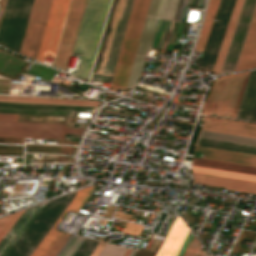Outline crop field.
I'll list each match as a JSON object with an SVG mask.
<instances>
[{"label": "crop field", "mask_w": 256, "mask_h": 256, "mask_svg": "<svg viewBox=\"0 0 256 256\" xmlns=\"http://www.w3.org/2000/svg\"><path fill=\"white\" fill-rule=\"evenodd\" d=\"M179 4L180 0H150L126 88L137 83L149 48L167 50L170 39H163L165 29L169 16L177 15Z\"/></svg>", "instance_id": "crop-field-1"}, {"label": "crop field", "mask_w": 256, "mask_h": 256, "mask_svg": "<svg viewBox=\"0 0 256 256\" xmlns=\"http://www.w3.org/2000/svg\"><path fill=\"white\" fill-rule=\"evenodd\" d=\"M109 0H88L73 53L82 54L77 76L88 78Z\"/></svg>", "instance_id": "crop-field-2"}, {"label": "crop field", "mask_w": 256, "mask_h": 256, "mask_svg": "<svg viewBox=\"0 0 256 256\" xmlns=\"http://www.w3.org/2000/svg\"><path fill=\"white\" fill-rule=\"evenodd\" d=\"M248 73L249 71L217 77L210 87L202 113H214L221 117L229 114L234 119Z\"/></svg>", "instance_id": "crop-field-3"}, {"label": "crop field", "mask_w": 256, "mask_h": 256, "mask_svg": "<svg viewBox=\"0 0 256 256\" xmlns=\"http://www.w3.org/2000/svg\"><path fill=\"white\" fill-rule=\"evenodd\" d=\"M134 0H115L95 73L113 76Z\"/></svg>", "instance_id": "crop-field-4"}, {"label": "crop field", "mask_w": 256, "mask_h": 256, "mask_svg": "<svg viewBox=\"0 0 256 256\" xmlns=\"http://www.w3.org/2000/svg\"><path fill=\"white\" fill-rule=\"evenodd\" d=\"M149 0H135L111 86L125 88Z\"/></svg>", "instance_id": "crop-field-5"}, {"label": "crop field", "mask_w": 256, "mask_h": 256, "mask_svg": "<svg viewBox=\"0 0 256 256\" xmlns=\"http://www.w3.org/2000/svg\"><path fill=\"white\" fill-rule=\"evenodd\" d=\"M33 0H7L0 24V45L19 52Z\"/></svg>", "instance_id": "crop-field-6"}, {"label": "crop field", "mask_w": 256, "mask_h": 256, "mask_svg": "<svg viewBox=\"0 0 256 256\" xmlns=\"http://www.w3.org/2000/svg\"><path fill=\"white\" fill-rule=\"evenodd\" d=\"M17 118L18 115L0 114V136L63 140L64 134H80L83 130L57 124L17 122Z\"/></svg>", "instance_id": "crop-field-7"}, {"label": "crop field", "mask_w": 256, "mask_h": 256, "mask_svg": "<svg viewBox=\"0 0 256 256\" xmlns=\"http://www.w3.org/2000/svg\"><path fill=\"white\" fill-rule=\"evenodd\" d=\"M69 195L70 194L48 201L20 239L5 256H24L63 206Z\"/></svg>", "instance_id": "crop-field-8"}, {"label": "crop field", "mask_w": 256, "mask_h": 256, "mask_svg": "<svg viewBox=\"0 0 256 256\" xmlns=\"http://www.w3.org/2000/svg\"><path fill=\"white\" fill-rule=\"evenodd\" d=\"M235 1L221 0L199 68L212 71Z\"/></svg>", "instance_id": "crop-field-9"}, {"label": "crop field", "mask_w": 256, "mask_h": 256, "mask_svg": "<svg viewBox=\"0 0 256 256\" xmlns=\"http://www.w3.org/2000/svg\"><path fill=\"white\" fill-rule=\"evenodd\" d=\"M52 0H34L20 54L36 58Z\"/></svg>", "instance_id": "crop-field-10"}, {"label": "crop field", "mask_w": 256, "mask_h": 256, "mask_svg": "<svg viewBox=\"0 0 256 256\" xmlns=\"http://www.w3.org/2000/svg\"><path fill=\"white\" fill-rule=\"evenodd\" d=\"M85 1L86 0L71 1L66 23L54 61V67H58L67 71Z\"/></svg>", "instance_id": "crop-field-11"}, {"label": "crop field", "mask_w": 256, "mask_h": 256, "mask_svg": "<svg viewBox=\"0 0 256 256\" xmlns=\"http://www.w3.org/2000/svg\"><path fill=\"white\" fill-rule=\"evenodd\" d=\"M69 2L53 0L36 60L43 62L45 55H55Z\"/></svg>", "instance_id": "crop-field-12"}, {"label": "crop field", "mask_w": 256, "mask_h": 256, "mask_svg": "<svg viewBox=\"0 0 256 256\" xmlns=\"http://www.w3.org/2000/svg\"><path fill=\"white\" fill-rule=\"evenodd\" d=\"M255 6H256V0L244 1L233 37H232L223 67H222L221 74L233 72L246 32L249 27Z\"/></svg>", "instance_id": "crop-field-13"}, {"label": "crop field", "mask_w": 256, "mask_h": 256, "mask_svg": "<svg viewBox=\"0 0 256 256\" xmlns=\"http://www.w3.org/2000/svg\"><path fill=\"white\" fill-rule=\"evenodd\" d=\"M86 106L26 104L0 102V113L72 116L73 111H85Z\"/></svg>", "instance_id": "crop-field-14"}, {"label": "crop field", "mask_w": 256, "mask_h": 256, "mask_svg": "<svg viewBox=\"0 0 256 256\" xmlns=\"http://www.w3.org/2000/svg\"><path fill=\"white\" fill-rule=\"evenodd\" d=\"M93 186L84 188L82 190H79L74 197V199L70 202V204L67 206L65 212L66 213L68 209L78 212L84 202L87 200ZM63 215L59 218V220L53 225V227L48 231L46 236L43 238L41 243L38 245V247L34 250V252L30 256H45L47 252L50 250V248L54 245V243L57 241L59 236L62 234V232H58L53 230L54 227L57 225V223L60 221V219L63 217Z\"/></svg>", "instance_id": "crop-field-15"}, {"label": "crop field", "mask_w": 256, "mask_h": 256, "mask_svg": "<svg viewBox=\"0 0 256 256\" xmlns=\"http://www.w3.org/2000/svg\"><path fill=\"white\" fill-rule=\"evenodd\" d=\"M44 204L34 206L25 210V212L21 215L15 225L10 229V231L0 242V256H4L9 251V249L14 245V243L18 240V238L21 236L27 226L37 215V213L42 209Z\"/></svg>", "instance_id": "crop-field-16"}, {"label": "crop field", "mask_w": 256, "mask_h": 256, "mask_svg": "<svg viewBox=\"0 0 256 256\" xmlns=\"http://www.w3.org/2000/svg\"><path fill=\"white\" fill-rule=\"evenodd\" d=\"M189 231L181 218H175L156 256H176Z\"/></svg>", "instance_id": "crop-field-17"}, {"label": "crop field", "mask_w": 256, "mask_h": 256, "mask_svg": "<svg viewBox=\"0 0 256 256\" xmlns=\"http://www.w3.org/2000/svg\"><path fill=\"white\" fill-rule=\"evenodd\" d=\"M235 119L256 122V70L250 73Z\"/></svg>", "instance_id": "crop-field-18"}, {"label": "crop field", "mask_w": 256, "mask_h": 256, "mask_svg": "<svg viewBox=\"0 0 256 256\" xmlns=\"http://www.w3.org/2000/svg\"><path fill=\"white\" fill-rule=\"evenodd\" d=\"M256 67V9L234 71Z\"/></svg>", "instance_id": "crop-field-19"}, {"label": "crop field", "mask_w": 256, "mask_h": 256, "mask_svg": "<svg viewBox=\"0 0 256 256\" xmlns=\"http://www.w3.org/2000/svg\"><path fill=\"white\" fill-rule=\"evenodd\" d=\"M205 129L256 136V124L226 120L205 116L203 127Z\"/></svg>", "instance_id": "crop-field-20"}, {"label": "crop field", "mask_w": 256, "mask_h": 256, "mask_svg": "<svg viewBox=\"0 0 256 256\" xmlns=\"http://www.w3.org/2000/svg\"><path fill=\"white\" fill-rule=\"evenodd\" d=\"M195 150L206 152L205 158L227 163L256 167V156L196 146Z\"/></svg>", "instance_id": "crop-field-21"}, {"label": "crop field", "mask_w": 256, "mask_h": 256, "mask_svg": "<svg viewBox=\"0 0 256 256\" xmlns=\"http://www.w3.org/2000/svg\"><path fill=\"white\" fill-rule=\"evenodd\" d=\"M194 176V183L226 187L228 190L241 191L246 193L256 194V183L239 181L233 179H226L214 176H207L192 173Z\"/></svg>", "instance_id": "crop-field-22"}, {"label": "crop field", "mask_w": 256, "mask_h": 256, "mask_svg": "<svg viewBox=\"0 0 256 256\" xmlns=\"http://www.w3.org/2000/svg\"><path fill=\"white\" fill-rule=\"evenodd\" d=\"M243 1L244 0H237L236 1L234 10L232 12V15H231V18H230V21H229V24H228V27H227L222 45H221V48L219 50V53H218V56H217V59H216V62H215V65H214V68H213L212 72L220 73V70H221V67H222V64H223V61H224V58H225V55H226L231 37H232V34H233V31H234V28H235V25H236V22H237V19H238V16H239L242 4H243Z\"/></svg>", "instance_id": "crop-field-23"}, {"label": "crop field", "mask_w": 256, "mask_h": 256, "mask_svg": "<svg viewBox=\"0 0 256 256\" xmlns=\"http://www.w3.org/2000/svg\"><path fill=\"white\" fill-rule=\"evenodd\" d=\"M0 101L6 102H26V103H46V104H66V105H86L97 106V101H79V100H60V99H41V98H22V97H3Z\"/></svg>", "instance_id": "crop-field-24"}, {"label": "crop field", "mask_w": 256, "mask_h": 256, "mask_svg": "<svg viewBox=\"0 0 256 256\" xmlns=\"http://www.w3.org/2000/svg\"><path fill=\"white\" fill-rule=\"evenodd\" d=\"M196 145L256 155V147L199 138Z\"/></svg>", "instance_id": "crop-field-25"}, {"label": "crop field", "mask_w": 256, "mask_h": 256, "mask_svg": "<svg viewBox=\"0 0 256 256\" xmlns=\"http://www.w3.org/2000/svg\"><path fill=\"white\" fill-rule=\"evenodd\" d=\"M192 165L256 175V168L193 158Z\"/></svg>", "instance_id": "crop-field-26"}, {"label": "crop field", "mask_w": 256, "mask_h": 256, "mask_svg": "<svg viewBox=\"0 0 256 256\" xmlns=\"http://www.w3.org/2000/svg\"><path fill=\"white\" fill-rule=\"evenodd\" d=\"M219 1L220 0H209L203 27H202L201 33L199 35L197 45L195 47L196 50L203 51V48H204L208 33L210 31Z\"/></svg>", "instance_id": "crop-field-27"}, {"label": "crop field", "mask_w": 256, "mask_h": 256, "mask_svg": "<svg viewBox=\"0 0 256 256\" xmlns=\"http://www.w3.org/2000/svg\"><path fill=\"white\" fill-rule=\"evenodd\" d=\"M199 137L256 146V139L204 131V130H201Z\"/></svg>", "instance_id": "crop-field-28"}, {"label": "crop field", "mask_w": 256, "mask_h": 256, "mask_svg": "<svg viewBox=\"0 0 256 256\" xmlns=\"http://www.w3.org/2000/svg\"><path fill=\"white\" fill-rule=\"evenodd\" d=\"M192 172L256 182V176L192 166Z\"/></svg>", "instance_id": "crop-field-29"}, {"label": "crop field", "mask_w": 256, "mask_h": 256, "mask_svg": "<svg viewBox=\"0 0 256 256\" xmlns=\"http://www.w3.org/2000/svg\"><path fill=\"white\" fill-rule=\"evenodd\" d=\"M183 1L184 0H181V4H180V8H179L177 17H170L169 18L168 26H167L165 37H164V38H171L168 50H173L174 39H175V37H179L181 29H182L183 23L178 22V20H179L181 8H182V5H183Z\"/></svg>", "instance_id": "crop-field-30"}, {"label": "crop field", "mask_w": 256, "mask_h": 256, "mask_svg": "<svg viewBox=\"0 0 256 256\" xmlns=\"http://www.w3.org/2000/svg\"><path fill=\"white\" fill-rule=\"evenodd\" d=\"M76 192L72 193L71 196L68 198L64 206L61 208V210L58 212V214L55 216V218L52 220V222L49 224V226L46 228V230L43 232V234L39 237V239L36 241V243L33 245V247L29 250V252L25 256H29L33 250L37 247V245L40 243L42 238L45 236L47 231L50 229V227L55 223V221L61 216L62 212L68 205V203L72 200L73 196L75 195Z\"/></svg>", "instance_id": "crop-field-31"}, {"label": "crop field", "mask_w": 256, "mask_h": 256, "mask_svg": "<svg viewBox=\"0 0 256 256\" xmlns=\"http://www.w3.org/2000/svg\"><path fill=\"white\" fill-rule=\"evenodd\" d=\"M96 241L84 238L72 256H86Z\"/></svg>", "instance_id": "crop-field-32"}, {"label": "crop field", "mask_w": 256, "mask_h": 256, "mask_svg": "<svg viewBox=\"0 0 256 256\" xmlns=\"http://www.w3.org/2000/svg\"><path fill=\"white\" fill-rule=\"evenodd\" d=\"M23 211L17 212L15 214H12L9 216V218L6 220V222L0 228V241L5 236V234L8 232V230L13 226V224L16 222V220L20 217V215L23 213Z\"/></svg>", "instance_id": "crop-field-33"}, {"label": "crop field", "mask_w": 256, "mask_h": 256, "mask_svg": "<svg viewBox=\"0 0 256 256\" xmlns=\"http://www.w3.org/2000/svg\"><path fill=\"white\" fill-rule=\"evenodd\" d=\"M125 250V248L117 247L114 245L110 247L108 244H105L99 256H122Z\"/></svg>", "instance_id": "crop-field-34"}, {"label": "crop field", "mask_w": 256, "mask_h": 256, "mask_svg": "<svg viewBox=\"0 0 256 256\" xmlns=\"http://www.w3.org/2000/svg\"><path fill=\"white\" fill-rule=\"evenodd\" d=\"M204 1L205 0H185L179 21H181V22L184 21L185 14H186L188 6L203 8Z\"/></svg>", "instance_id": "crop-field-35"}, {"label": "crop field", "mask_w": 256, "mask_h": 256, "mask_svg": "<svg viewBox=\"0 0 256 256\" xmlns=\"http://www.w3.org/2000/svg\"><path fill=\"white\" fill-rule=\"evenodd\" d=\"M70 235L63 233L52 249L48 252L46 256H55L64 243L69 239Z\"/></svg>", "instance_id": "crop-field-36"}, {"label": "crop field", "mask_w": 256, "mask_h": 256, "mask_svg": "<svg viewBox=\"0 0 256 256\" xmlns=\"http://www.w3.org/2000/svg\"><path fill=\"white\" fill-rule=\"evenodd\" d=\"M198 243L199 242L195 239V237L193 235L188 247L186 248V250H185V252L183 253L182 256H192V254L195 251Z\"/></svg>", "instance_id": "crop-field-37"}, {"label": "crop field", "mask_w": 256, "mask_h": 256, "mask_svg": "<svg viewBox=\"0 0 256 256\" xmlns=\"http://www.w3.org/2000/svg\"><path fill=\"white\" fill-rule=\"evenodd\" d=\"M192 235H193V234H192V232L190 231L188 237L186 238V240H185L183 246L181 247L179 253L177 254V256H181V255H182V253H183L184 249L186 248L188 242L190 241Z\"/></svg>", "instance_id": "crop-field-38"}, {"label": "crop field", "mask_w": 256, "mask_h": 256, "mask_svg": "<svg viewBox=\"0 0 256 256\" xmlns=\"http://www.w3.org/2000/svg\"><path fill=\"white\" fill-rule=\"evenodd\" d=\"M203 254L204 253L202 252V250L200 248V245H198V247H197L196 251L194 252L193 256H203Z\"/></svg>", "instance_id": "crop-field-39"}, {"label": "crop field", "mask_w": 256, "mask_h": 256, "mask_svg": "<svg viewBox=\"0 0 256 256\" xmlns=\"http://www.w3.org/2000/svg\"><path fill=\"white\" fill-rule=\"evenodd\" d=\"M188 25H189V24H187V23L184 24V27H183L181 33H186V32H187Z\"/></svg>", "instance_id": "crop-field-40"}, {"label": "crop field", "mask_w": 256, "mask_h": 256, "mask_svg": "<svg viewBox=\"0 0 256 256\" xmlns=\"http://www.w3.org/2000/svg\"><path fill=\"white\" fill-rule=\"evenodd\" d=\"M8 218V216L7 217H4V218H2V219H0V227L2 226V224L5 222V220Z\"/></svg>", "instance_id": "crop-field-41"}, {"label": "crop field", "mask_w": 256, "mask_h": 256, "mask_svg": "<svg viewBox=\"0 0 256 256\" xmlns=\"http://www.w3.org/2000/svg\"><path fill=\"white\" fill-rule=\"evenodd\" d=\"M130 252H131V250H130V249H127V250L125 251V253H124L123 256H128Z\"/></svg>", "instance_id": "crop-field-42"}, {"label": "crop field", "mask_w": 256, "mask_h": 256, "mask_svg": "<svg viewBox=\"0 0 256 256\" xmlns=\"http://www.w3.org/2000/svg\"><path fill=\"white\" fill-rule=\"evenodd\" d=\"M134 253H135V251H134V250H132V252H131V254H130L129 256H133V255H134Z\"/></svg>", "instance_id": "crop-field-43"}, {"label": "crop field", "mask_w": 256, "mask_h": 256, "mask_svg": "<svg viewBox=\"0 0 256 256\" xmlns=\"http://www.w3.org/2000/svg\"><path fill=\"white\" fill-rule=\"evenodd\" d=\"M205 256V255H204Z\"/></svg>", "instance_id": "crop-field-44"}]
</instances>
